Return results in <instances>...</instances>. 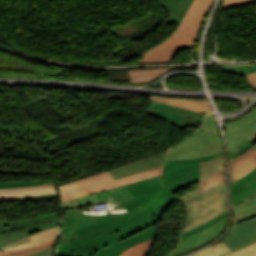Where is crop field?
Masks as SVG:
<instances>
[{"label":"crop field","mask_w":256,"mask_h":256,"mask_svg":"<svg viewBox=\"0 0 256 256\" xmlns=\"http://www.w3.org/2000/svg\"><path fill=\"white\" fill-rule=\"evenodd\" d=\"M160 176L127 184L136 197L123 205L131 212L123 217L98 215L99 223L76 230L81 238L67 243L75 248L71 256H118L126 248L156 237L152 225L176 201L159 182Z\"/></svg>","instance_id":"obj_1"},{"label":"crop field","mask_w":256,"mask_h":256,"mask_svg":"<svg viewBox=\"0 0 256 256\" xmlns=\"http://www.w3.org/2000/svg\"><path fill=\"white\" fill-rule=\"evenodd\" d=\"M212 0H193L178 29L157 46L142 53L145 57L138 63H166L184 48H191L199 25Z\"/></svg>","instance_id":"obj_2"},{"label":"crop field","mask_w":256,"mask_h":256,"mask_svg":"<svg viewBox=\"0 0 256 256\" xmlns=\"http://www.w3.org/2000/svg\"><path fill=\"white\" fill-rule=\"evenodd\" d=\"M186 207L183 232L227 211L225 181L204 193L196 190L181 197Z\"/></svg>","instance_id":"obj_3"},{"label":"crop field","mask_w":256,"mask_h":256,"mask_svg":"<svg viewBox=\"0 0 256 256\" xmlns=\"http://www.w3.org/2000/svg\"><path fill=\"white\" fill-rule=\"evenodd\" d=\"M222 151L214 115H207L202 127L170 149L167 160L208 156Z\"/></svg>","instance_id":"obj_4"},{"label":"crop field","mask_w":256,"mask_h":256,"mask_svg":"<svg viewBox=\"0 0 256 256\" xmlns=\"http://www.w3.org/2000/svg\"><path fill=\"white\" fill-rule=\"evenodd\" d=\"M219 155H221V153L203 158L166 161L162 175V183L173 193L197 181L199 162L208 161Z\"/></svg>","instance_id":"obj_5"},{"label":"crop field","mask_w":256,"mask_h":256,"mask_svg":"<svg viewBox=\"0 0 256 256\" xmlns=\"http://www.w3.org/2000/svg\"><path fill=\"white\" fill-rule=\"evenodd\" d=\"M170 110V112H168ZM146 113L161 117L178 128L188 127L195 122H202L204 114H199L176 107L160 104L151 101V109L146 110Z\"/></svg>","instance_id":"obj_6"},{"label":"crop field","mask_w":256,"mask_h":256,"mask_svg":"<svg viewBox=\"0 0 256 256\" xmlns=\"http://www.w3.org/2000/svg\"><path fill=\"white\" fill-rule=\"evenodd\" d=\"M227 222L228 217L197 234L181 240L177 249L171 256H183L216 240L224 232Z\"/></svg>","instance_id":"obj_7"},{"label":"crop field","mask_w":256,"mask_h":256,"mask_svg":"<svg viewBox=\"0 0 256 256\" xmlns=\"http://www.w3.org/2000/svg\"><path fill=\"white\" fill-rule=\"evenodd\" d=\"M227 136V152H236L240 142L256 128V107L243 118L225 123Z\"/></svg>","instance_id":"obj_8"},{"label":"crop field","mask_w":256,"mask_h":256,"mask_svg":"<svg viewBox=\"0 0 256 256\" xmlns=\"http://www.w3.org/2000/svg\"><path fill=\"white\" fill-rule=\"evenodd\" d=\"M96 218L97 215L82 214L77 210H64L58 245L69 242L73 238L74 230L97 223Z\"/></svg>","instance_id":"obj_9"},{"label":"crop field","mask_w":256,"mask_h":256,"mask_svg":"<svg viewBox=\"0 0 256 256\" xmlns=\"http://www.w3.org/2000/svg\"><path fill=\"white\" fill-rule=\"evenodd\" d=\"M222 241L232 251L256 241V218L233 225Z\"/></svg>","instance_id":"obj_10"},{"label":"crop field","mask_w":256,"mask_h":256,"mask_svg":"<svg viewBox=\"0 0 256 256\" xmlns=\"http://www.w3.org/2000/svg\"><path fill=\"white\" fill-rule=\"evenodd\" d=\"M166 153L167 151L164 153H160L155 156H152L150 158L140 159L136 162H133L121 167H117L108 171L111 173L114 179H117L132 173L162 166L164 163Z\"/></svg>","instance_id":"obj_11"},{"label":"crop field","mask_w":256,"mask_h":256,"mask_svg":"<svg viewBox=\"0 0 256 256\" xmlns=\"http://www.w3.org/2000/svg\"><path fill=\"white\" fill-rule=\"evenodd\" d=\"M229 166L231 182L249 173L256 167V145L229 161Z\"/></svg>","instance_id":"obj_12"},{"label":"crop field","mask_w":256,"mask_h":256,"mask_svg":"<svg viewBox=\"0 0 256 256\" xmlns=\"http://www.w3.org/2000/svg\"><path fill=\"white\" fill-rule=\"evenodd\" d=\"M151 100L156 102L176 106L179 108L199 112V113H213L211 107L207 101L204 100H192V99H177V98H163L150 96Z\"/></svg>","instance_id":"obj_13"},{"label":"crop field","mask_w":256,"mask_h":256,"mask_svg":"<svg viewBox=\"0 0 256 256\" xmlns=\"http://www.w3.org/2000/svg\"><path fill=\"white\" fill-rule=\"evenodd\" d=\"M161 169L162 167H158L155 169H151V170H147L144 172H140V173H136V174H132L123 178H120L118 180H113L111 182L108 183H104L98 186H94L91 188H87V191L89 192V194L101 191V190H105V189H110V188H114L123 184H127V183H131L134 181H138V180H142L145 178H149L152 176H156V175H160L161 174Z\"/></svg>","instance_id":"obj_14"},{"label":"crop field","mask_w":256,"mask_h":256,"mask_svg":"<svg viewBox=\"0 0 256 256\" xmlns=\"http://www.w3.org/2000/svg\"><path fill=\"white\" fill-rule=\"evenodd\" d=\"M57 230H58V227H55V228L37 233V234L29 236L21 241L12 243L1 250L5 253H8L11 251L23 249V248L44 242L47 240L54 239L57 236Z\"/></svg>","instance_id":"obj_15"},{"label":"crop field","mask_w":256,"mask_h":256,"mask_svg":"<svg viewBox=\"0 0 256 256\" xmlns=\"http://www.w3.org/2000/svg\"><path fill=\"white\" fill-rule=\"evenodd\" d=\"M172 15L165 21L167 24L176 23L177 27L180 24L186 10L192 0H156Z\"/></svg>","instance_id":"obj_16"},{"label":"crop field","mask_w":256,"mask_h":256,"mask_svg":"<svg viewBox=\"0 0 256 256\" xmlns=\"http://www.w3.org/2000/svg\"><path fill=\"white\" fill-rule=\"evenodd\" d=\"M53 192H56V190L52 184L25 188L0 189V199Z\"/></svg>","instance_id":"obj_17"},{"label":"crop field","mask_w":256,"mask_h":256,"mask_svg":"<svg viewBox=\"0 0 256 256\" xmlns=\"http://www.w3.org/2000/svg\"><path fill=\"white\" fill-rule=\"evenodd\" d=\"M234 224L256 217V194L233 207Z\"/></svg>","instance_id":"obj_18"},{"label":"crop field","mask_w":256,"mask_h":256,"mask_svg":"<svg viewBox=\"0 0 256 256\" xmlns=\"http://www.w3.org/2000/svg\"><path fill=\"white\" fill-rule=\"evenodd\" d=\"M27 235L30 234L25 224L0 228V247Z\"/></svg>","instance_id":"obj_19"},{"label":"crop field","mask_w":256,"mask_h":256,"mask_svg":"<svg viewBox=\"0 0 256 256\" xmlns=\"http://www.w3.org/2000/svg\"><path fill=\"white\" fill-rule=\"evenodd\" d=\"M173 68V67H169ZM169 68H158V69H148V70H132L127 71V74L131 80V82L142 83L148 82L166 71Z\"/></svg>","instance_id":"obj_20"},{"label":"crop field","mask_w":256,"mask_h":256,"mask_svg":"<svg viewBox=\"0 0 256 256\" xmlns=\"http://www.w3.org/2000/svg\"><path fill=\"white\" fill-rule=\"evenodd\" d=\"M222 166L223 155L208 162L200 163L198 182H201L210 177L212 174L222 170Z\"/></svg>","instance_id":"obj_21"},{"label":"crop field","mask_w":256,"mask_h":256,"mask_svg":"<svg viewBox=\"0 0 256 256\" xmlns=\"http://www.w3.org/2000/svg\"><path fill=\"white\" fill-rule=\"evenodd\" d=\"M58 219H60V212H55V213L36 216V217H32V218H28L20 221H14V222H8V219L1 220L0 227L12 226V225H17L22 223H25L26 226H28L35 223L47 222V221L58 220Z\"/></svg>","instance_id":"obj_22"},{"label":"crop field","mask_w":256,"mask_h":256,"mask_svg":"<svg viewBox=\"0 0 256 256\" xmlns=\"http://www.w3.org/2000/svg\"><path fill=\"white\" fill-rule=\"evenodd\" d=\"M110 173L108 171L106 172H103V173H100V174H97V175H94V176H91V177H87V178H84V179H81V180H77V181H74V182H71V183H67V184H64V185H61V186H57V190L58 192H61V191H65L67 189H70V188H74V187H78V186H82V185H85V184H88V183H92V182H96L98 180H101V179H104V178H107V177H110Z\"/></svg>","instance_id":"obj_23"},{"label":"crop field","mask_w":256,"mask_h":256,"mask_svg":"<svg viewBox=\"0 0 256 256\" xmlns=\"http://www.w3.org/2000/svg\"><path fill=\"white\" fill-rule=\"evenodd\" d=\"M155 239L156 238H153L146 242L134 245V246L126 249L119 256H147ZM144 249H146V251H144Z\"/></svg>","instance_id":"obj_24"},{"label":"crop field","mask_w":256,"mask_h":256,"mask_svg":"<svg viewBox=\"0 0 256 256\" xmlns=\"http://www.w3.org/2000/svg\"><path fill=\"white\" fill-rule=\"evenodd\" d=\"M112 190H114V192H112ZM104 193L111 201L117 199V201L120 202H130L135 198L125 185L114 189L105 190Z\"/></svg>","instance_id":"obj_25"},{"label":"crop field","mask_w":256,"mask_h":256,"mask_svg":"<svg viewBox=\"0 0 256 256\" xmlns=\"http://www.w3.org/2000/svg\"><path fill=\"white\" fill-rule=\"evenodd\" d=\"M104 200L110 201L106 197V195L103 193V191H101L92 195H87L78 199L71 200L70 202L72 204V207L75 208V207L92 205L93 203L104 201Z\"/></svg>","instance_id":"obj_26"},{"label":"crop field","mask_w":256,"mask_h":256,"mask_svg":"<svg viewBox=\"0 0 256 256\" xmlns=\"http://www.w3.org/2000/svg\"><path fill=\"white\" fill-rule=\"evenodd\" d=\"M221 71L245 75L256 72V63L222 65Z\"/></svg>","instance_id":"obj_27"},{"label":"crop field","mask_w":256,"mask_h":256,"mask_svg":"<svg viewBox=\"0 0 256 256\" xmlns=\"http://www.w3.org/2000/svg\"><path fill=\"white\" fill-rule=\"evenodd\" d=\"M256 176V168L253 169L249 174L246 176L236 180L235 182L231 183V191H232V197L238 195L242 191L246 190L247 187L245 184L249 182L252 178Z\"/></svg>","instance_id":"obj_28"},{"label":"crop field","mask_w":256,"mask_h":256,"mask_svg":"<svg viewBox=\"0 0 256 256\" xmlns=\"http://www.w3.org/2000/svg\"><path fill=\"white\" fill-rule=\"evenodd\" d=\"M231 250L221 241L203 251H200L192 256H221L229 253Z\"/></svg>","instance_id":"obj_29"},{"label":"crop field","mask_w":256,"mask_h":256,"mask_svg":"<svg viewBox=\"0 0 256 256\" xmlns=\"http://www.w3.org/2000/svg\"><path fill=\"white\" fill-rule=\"evenodd\" d=\"M53 246H55V240L44 242V243L29 247V248H26L23 250L11 252V253H8L7 255L8 256H25V255L32 254V253H35V252H38V251H41V250H44L46 248L53 247Z\"/></svg>","instance_id":"obj_30"},{"label":"crop field","mask_w":256,"mask_h":256,"mask_svg":"<svg viewBox=\"0 0 256 256\" xmlns=\"http://www.w3.org/2000/svg\"><path fill=\"white\" fill-rule=\"evenodd\" d=\"M224 180H225V175H224V170H222L214 174L210 178L206 179L205 181L199 183V187L197 188V191L202 193Z\"/></svg>","instance_id":"obj_31"},{"label":"crop field","mask_w":256,"mask_h":256,"mask_svg":"<svg viewBox=\"0 0 256 256\" xmlns=\"http://www.w3.org/2000/svg\"><path fill=\"white\" fill-rule=\"evenodd\" d=\"M49 183H51L49 180L1 182L0 188L34 186V185H43V184H49Z\"/></svg>","instance_id":"obj_32"},{"label":"crop field","mask_w":256,"mask_h":256,"mask_svg":"<svg viewBox=\"0 0 256 256\" xmlns=\"http://www.w3.org/2000/svg\"><path fill=\"white\" fill-rule=\"evenodd\" d=\"M250 188L246 191L242 192L238 196L232 198V206L239 203L240 201L246 199L247 197L251 196L252 194L256 193V177L252 179L249 183H247Z\"/></svg>","instance_id":"obj_33"},{"label":"crop field","mask_w":256,"mask_h":256,"mask_svg":"<svg viewBox=\"0 0 256 256\" xmlns=\"http://www.w3.org/2000/svg\"><path fill=\"white\" fill-rule=\"evenodd\" d=\"M226 216H228V212H226V213H224V214H222V215H220V216H218V217H216V218H214V219H212V220H210V221H208V222H206V223H204V224H202V225H200V226H198V227H196V228H194L190 231H187V232L183 233L181 239L185 238L189 235H192L194 233H197V232L215 224L216 222H218L219 220L223 219Z\"/></svg>","instance_id":"obj_34"},{"label":"crop field","mask_w":256,"mask_h":256,"mask_svg":"<svg viewBox=\"0 0 256 256\" xmlns=\"http://www.w3.org/2000/svg\"><path fill=\"white\" fill-rule=\"evenodd\" d=\"M223 256H256V242Z\"/></svg>","instance_id":"obj_35"},{"label":"crop field","mask_w":256,"mask_h":256,"mask_svg":"<svg viewBox=\"0 0 256 256\" xmlns=\"http://www.w3.org/2000/svg\"><path fill=\"white\" fill-rule=\"evenodd\" d=\"M256 3V0H224L220 11L248 5V4H253Z\"/></svg>","instance_id":"obj_36"},{"label":"crop field","mask_w":256,"mask_h":256,"mask_svg":"<svg viewBox=\"0 0 256 256\" xmlns=\"http://www.w3.org/2000/svg\"><path fill=\"white\" fill-rule=\"evenodd\" d=\"M60 220L28 226L30 234L59 225Z\"/></svg>","instance_id":"obj_37"},{"label":"crop field","mask_w":256,"mask_h":256,"mask_svg":"<svg viewBox=\"0 0 256 256\" xmlns=\"http://www.w3.org/2000/svg\"><path fill=\"white\" fill-rule=\"evenodd\" d=\"M254 143H255V142H253V141H251V140L245 138V139L243 140V142H241V144H240V146H239L237 152H236V153H230V155H229V160H230V159H233L234 157H236V156H238V155H240L243 151H245L247 148H249L250 146H252Z\"/></svg>","instance_id":"obj_38"},{"label":"crop field","mask_w":256,"mask_h":256,"mask_svg":"<svg viewBox=\"0 0 256 256\" xmlns=\"http://www.w3.org/2000/svg\"><path fill=\"white\" fill-rule=\"evenodd\" d=\"M55 196H58V194L53 193V194H45V195H36V196H28V197L2 199V200H0V202L15 201V200H26V199H39V198H47V197H55Z\"/></svg>","instance_id":"obj_39"},{"label":"crop field","mask_w":256,"mask_h":256,"mask_svg":"<svg viewBox=\"0 0 256 256\" xmlns=\"http://www.w3.org/2000/svg\"><path fill=\"white\" fill-rule=\"evenodd\" d=\"M74 248L68 245H61L57 248L56 256H70Z\"/></svg>","instance_id":"obj_40"},{"label":"crop field","mask_w":256,"mask_h":256,"mask_svg":"<svg viewBox=\"0 0 256 256\" xmlns=\"http://www.w3.org/2000/svg\"><path fill=\"white\" fill-rule=\"evenodd\" d=\"M87 194H88V192L86 191V189H83V190L75 192V193L63 195V196H61V199H62V202H63V201L71 200V199L81 197V196H84V195H87Z\"/></svg>","instance_id":"obj_41"},{"label":"crop field","mask_w":256,"mask_h":256,"mask_svg":"<svg viewBox=\"0 0 256 256\" xmlns=\"http://www.w3.org/2000/svg\"><path fill=\"white\" fill-rule=\"evenodd\" d=\"M111 180H113V177H110V178L101 180V181L96 182V183H93V184H89V185H85V186H82V187L70 189V190H68V191H65V192L60 193V195L66 194V193H70V192H74V191H78V190H80V189L87 188V187H91V186H94V185H97V184H101V183H104V182H108V181H111Z\"/></svg>","instance_id":"obj_42"},{"label":"crop field","mask_w":256,"mask_h":256,"mask_svg":"<svg viewBox=\"0 0 256 256\" xmlns=\"http://www.w3.org/2000/svg\"><path fill=\"white\" fill-rule=\"evenodd\" d=\"M54 252H55V247L49 248L44 251H41L32 255H28V256H53Z\"/></svg>","instance_id":"obj_43"},{"label":"crop field","mask_w":256,"mask_h":256,"mask_svg":"<svg viewBox=\"0 0 256 256\" xmlns=\"http://www.w3.org/2000/svg\"><path fill=\"white\" fill-rule=\"evenodd\" d=\"M246 76L248 78V81H249L250 85L253 88H256V73L248 74Z\"/></svg>","instance_id":"obj_44"},{"label":"crop field","mask_w":256,"mask_h":256,"mask_svg":"<svg viewBox=\"0 0 256 256\" xmlns=\"http://www.w3.org/2000/svg\"><path fill=\"white\" fill-rule=\"evenodd\" d=\"M247 138L256 142V129L250 135H248Z\"/></svg>","instance_id":"obj_45"},{"label":"crop field","mask_w":256,"mask_h":256,"mask_svg":"<svg viewBox=\"0 0 256 256\" xmlns=\"http://www.w3.org/2000/svg\"><path fill=\"white\" fill-rule=\"evenodd\" d=\"M62 206H63L64 209L72 208L69 201L62 203Z\"/></svg>","instance_id":"obj_46"},{"label":"crop field","mask_w":256,"mask_h":256,"mask_svg":"<svg viewBox=\"0 0 256 256\" xmlns=\"http://www.w3.org/2000/svg\"><path fill=\"white\" fill-rule=\"evenodd\" d=\"M0 256H7V255L0 250Z\"/></svg>","instance_id":"obj_47"}]
</instances>
